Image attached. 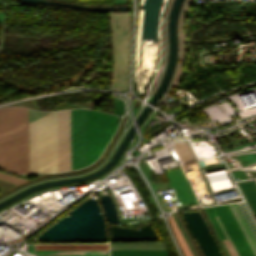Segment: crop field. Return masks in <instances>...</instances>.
Masks as SVG:
<instances>
[{"label":"crop field","mask_w":256,"mask_h":256,"mask_svg":"<svg viewBox=\"0 0 256 256\" xmlns=\"http://www.w3.org/2000/svg\"><path fill=\"white\" fill-rule=\"evenodd\" d=\"M110 256H167L166 252H110Z\"/></svg>","instance_id":"obj_12"},{"label":"crop field","mask_w":256,"mask_h":256,"mask_svg":"<svg viewBox=\"0 0 256 256\" xmlns=\"http://www.w3.org/2000/svg\"><path fill=\"white\" fill-rule=\"evenodd\" d=\"M72 170L87 166L86 110H71Z\"/></svg>","instance_id":"obj_6"},{"label":"crop field","mask_w":256,"mask_h":256,"mask_svg":"<svg viewBox=\"0 0 256 256\" xmlns=\"http://www.w3.org/2000/svg\"><path fill=\"white\" fill-rule=\"evenodd\" d=\"M36 250L108 249L107 245H35Z\"/></svg>","instance_id":"obj_9"},{"label":"crop field","mask_w":256,"mask_h":256,"mask_svg":"<svg viewBox=\"0 0 256 256\" xmlns=\"http://www.w3.org/2000/svg\"><path fill=\"white\" fill-rule=\"evenodd\" d=\"M110 249H165L162 243H109Z\"/></svg>","instance_id":"obj_10"},{"label":"crop field","mask_w":256,"mask_h":256,"mask_svg":"<svg viewBox=\"0 0 256 256\" xmlns=\"http://www.w3.org/2000/svg\"><path fill=\"white\" fill-rule=\"evenodd\" d=\"M116 128V116L87 110L88 165L96 160Z\"/></svg>","instance_id":"obj_4"},{"label":"crop field","mask_w":256,"mask_h":256,"mask_svg":"<svg viewBox=\"0 0 256 256\" xmlns=\"http://www.w3.org/2000/svg\"><path fill=\"white\" fill-rule=\"evenodd\" d=\"M0 178L8 180V181H11V182L16 183V184L24 181V179L12 177V176H9V175H6V174H2V173H0Z\"/></svg>","instance_id":"obj_13"},{"label":"crop field","mask_w":256,"mask_h":256,"mask_svg":"<svg viewBox=\"0 0 256 256\" xmlns=\"http://www.w3.org/2000/svg\"><path fill=\"white\" fill-rule=\"evenodd\" d=\"M112 27V50L114 70L110 88H127L128 61L130 52V19L129 13L110 14ZM116 26H119L116 28ZM126 34V36H124ZM120 76V78H117ZM109 88V89H110Z\"/></svg>","instance_id":"obj_3"},{"label":"crop field","mask_w":256,"mask_h":256,"mask_svg":"<svg viewBox=\"0 0 256 256\" xmlns=\"http://www.w3.org/2000/svg\"><path fill=\"white\" fill-rule=\"evenodd\" d=\"M30 172L58 171L57 111L29 123Z\"/></svg>","instance_id":"obj_2"},{"label":"crop field","mask_w":256,"mask_h":256,"mask_svg":"<svg viewBox=\"0 0 256 256\" xmlns=\"http://www.w3.org/2000/svg\"><path fill=\"white\" fill-rule=\"evenodd\" d=\"M36 256H108V250L36 251Z\"/></svg>","instance_id":"obj_8"},{"label":"crop field","mask_w":256,"mask_h":256,"mask_svg":"<svg viewBox=\"0 0 256 256\" xmlns=\"http://www.w3.org/2000/svg\"><path fill=\"white\" fill-rule=\"evenodd\" d=\"M175 212H176V214H177V216H178V218H179V220H180V222H181L182 226L184 227V229H185V231H186V233H187V235H188V237H189V239H190L191 243L193 244V246H194V248H195V250H196V252H197L198 256H200V254H199V252H198L197 248L195 247V245H194V243H193V241H192L191 237L189 236V234H188V232H187V230H186V228H185L184 224L182 223V221H181V219H180V217H179V215H178L177 211H175Z\"/></svg>","instance_id":"obj_14"},{"label":"crop field","mask_w":256,"mask_h":256,"mask_svg":"<svg viewBox=\"0 0 256 256\" xmlns=\"http://www.w3.org/2000/svg\"><path fill=\"white\" fill-rule=\"evenodd\" d=\"M169 220H170V224H171L172 230H173V232H174V234H175V236H176V238L178 240V243H179V245H180V247H181V249L183 251L184 256H192V254H191L187 244L185 243V241H184L180 231L178 230V228H177V226H176L172 216H170Z\"/></svg>","instance_id":"obj_11"},{"label":"crop field","mask_w":256,"mask_h":256,"mask_svg":"<svg viewBox=\"0 0 256 256\" xmlns=\"http://www.w3.org/2000/svg\"><path fill=\"white\" fill-rule=\"evenodd\" d=\"M0 169L29 173L26 108L0 109Z\"/></svg>","instance_id":"obj_1"},{"label":"crop field","mask_w":256,"mask_h":256,"mask_svg":"<svg viewBox=\"0 0 256 256\" xmlns=\"http://www.w3.org/2000/svg\"><path fill=\"white\" fill-rule=\"evenodd\" d=\"M242 234L244 235L251 251L253 252L254 256H256V241L248 228L243 216L241 215L236 203L228 204Z\"/></svg>","instance_id":"obj_7"},{"label":"crop field","mask_w":256,"mask_h":256,"mask_svg":"<svg viewBox=\"0 0 256 256\" xmlns=\"http://www.w3.org/2000/svg\"><path fill=\"white\" fill-rule=\"evenodd\" d=\"M230 240L232 241L237 253L239 256H253V252L251 253L248 245H247V241L245 242L227 204H223V205H216L214 206ZM213 206H208L206 207L213 223L215 224L222 240L225 241H229V238L214 210ZM231 241L229 242H225V245L230 253L231 256H238Z\"/></svg>","instance_id":"obj_5"}]
</instances>
